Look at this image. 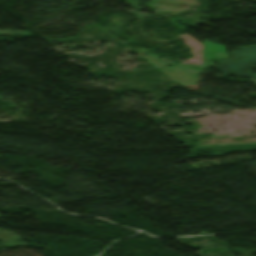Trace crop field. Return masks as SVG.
Listing matches in <instances>:
<instances>
[{"instance_id":"1","label":"crop field","mask_w":256,"mask_h":256,"mask_svg":"<svg viewBox=\"0 0 256 256\" xmlns=\"http://www.w3.org/2000/svg\"><path fill=\"white\" fill-rule=\"evenodd\" d=\"M239 48V51L231 52L233 59H225L219 62L221 72L225 76L256 78V75L249 70V67L256 63V45ZM225 68L227 69L225 70Z\"/></svg>"},{"instance_id":"2","label":"crop field","mask_w":256,"mask_h":256,"mask_svg":"<svg viewBox=\"0 0 256 256\" xmlns=\"http://www.w3.org/2000/svg\"><path fill=\"white\" fill-rule=\"evenodd\" d=\"M0 35H22V36H30L31 34L26 31H17V32H12L11 30H3L0 31Z\"/></svg>"},{"instance_id":"3","label":"crop field","mask_w":256,"mask_h":256,"mask_svg":"<svg viewBox=\"0 0 256 256\" xmlns=\"http://www.w3.org/2000/svg\"><path fill=\"white\" fill-rule=\"evenodd\" d=\"M253 1H256V0H253Z\"/></svg>"}]
</instances>
